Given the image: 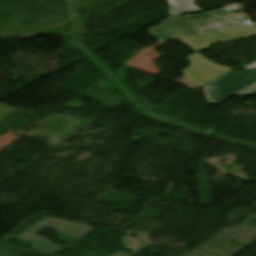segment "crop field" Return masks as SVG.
I'll list each match as a JSON object with an SVG mask.
<instances>
[{
	"mask_svg": "<svg viewBox=\"0 0 256 256\" xmlns=\"http://www.w3.org/2000/svg\"><path fill=\"white\" fill-rule=\"evenodd\" d=\"M255 35L256 28L251 26L215 34L180 39V41L197 52L208 49V45L211 44ZM188 60L190 61V66L183 70V75L194 86L204 87L232 70L227 66H218L212 61L204 58L203 55L197 53L189 56Z\"/></svg>",
	"mask_w": 256,
	"mask_h": 256,
	"instance_id": "8a807250",
	"label": "crop field"
},
{
	"mask_svg": "<svg viewBox=\"0 0 256 256\" xmlns=\"http://www.w3.org/2000/svg\"><path fill=\"white\" fill-rule=\"evenodd\" d=\"M255 81L256 70L231 71L220 79L204 87V90L209 103L219 104L232 94Z\"/></svg>",
	"mask_w": 256,
	"mask_h": 256,
	"instance_id": "ac0d7876",
	"label": "crop field"
},
{
	"mask_svg": "<svg viewBox=\"0 0 256 256\" xmlns=\"http://www.w3.org/2000/svg\"><path fill=\"white\" fill-rule=\"evenodd\" d=\"M200 34L244 26L225 11H217L205 15L185 18Z\"/></svg>",
	"mask_w": 256,
	"mask_h": 256,
	"instance_id": "34b2d1b8",
	"label": "crop field"
},
{
	"mask_svg": "<svg viewBox=\"0 0 256 256\" xmlns=\"http://www.w3.org/2000/svg\"><path fill=\"white\" fill-rule=\"evenodd\" d=\"M43 228L44 227H42V226L36 225L34 228L23 233L17 239H19L23 242L33 243V248L36 249L35 253L42 255V256H49V255L55 253L56 251L62 249L63 247H65V246L53 244L51 241H49L46 238L34 235L35 233H37L38 231H40ZM55 234L59 235V240L67 242L69 244H71L72 242L79 239V238L58 232V231H56Z\"/></svg>",
	"mask_w": 256,
	"mask_h": 256,
	"instance_id": "412701ff",
	"label": "crop field"
},
{
	"mask_svg": "<svg viewBox=\"0 0 256 256\" xmlns=\"http://www.w3.org/2000/svg\"><path fill=\"white\" fill-rule=\"evenodd\" d=\"M163 33L173 39L187 36L199 35L181 15L169 16L162 20V24L156 28H151L150 35Z\"/></svg>",
	"mask_w": 256,
	"mask_h": 256,
	"instance_id": "f4fd0767",
	"label": "crop field"
},
{
	"mask_svg": "<svg viewBox=\"0 0 256 256\" xmlns=\"http://www.w3.org/2000/svg\"><path fill=\"white\" fill-rule=\"evenodd\" d=\"M38 224L43 225L47 228L53 227L58 231H61L79 238H81L84 234H86L89 230L92 229V227L87 225L55 220L50 218H45Z\"/></svg>",
	"mask_w": 256,
	"mask_h": 256,
	"instance_id": "dd49c442",
	"label": "crop field"
},
{
	"mask_svg": "<svg viewBox=\"0 0 256 256\" xmlns=\"http://www.w3.org/2000/svg\"><path fill=\"white\" fill-rule=\"evenodd\" d=\"M199 11L200 9L194 7L191 2L186 4L171 6L170 8L171 15L186 14V13H193V12H199Z\"/></svg>",
	"mask_w": 256,
	"mask_h": 256,
	"instance_id": "e52e79f7",
	"label": "crop field"
},
{
	"mask_svg": "<svg viewBox=\"0 0 256 256\" xmlns=\"http://www.w3.org/2000/svg\"><path fill=\"white\" fill-rule=\"evenodd\" d=\"M256 93V82L252 85L246 87L245 89L239 91L238 93L234 94L236 96H248Z\"/></svg>",
	"mask_w": 256,
	"mask_h": 256,
	"instance_id": "d8731c3e",
	"label": "crop field"
},
{
	"mask_svg": "<svg viewBox=\"0 0 256 256\" xmlns=\"http://www.w3.org/2000/svg\"><path fill=\"white\" fill-rule=\"evenodd\" d=\"M154 38H158L159 39V42H163V41H167V40H171V38L163 35V34H156V35H153Z\"/></svg>",
	"mask_w": 256,
	"mask_h": 256,
	"instance_id": "5a996713",
	"label": "crop field"
},
{
	"mask_svg": "<svg viewBox=\"0 0 256 256\" xmlns=\"http://www.w3.org/2000/svg\"><path fill=\"white\" fill-rule=\"evenodd\" d=\"M170 5L180 4V3H186L194 0H168Z\"/></svg>",
	"mask_w": 256,
	"mask_h": 256,
	"instance_id": "3316defc",
	"label": "crop field"
}]
</instances>
